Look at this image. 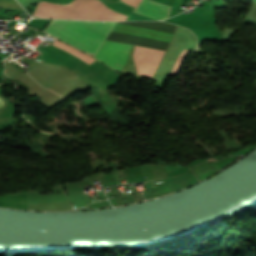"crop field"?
Here are the masks:
<instances>
[{
  "label": "crop field",
  "mask_w": 256,
  "mask_h": 256,
  "mask_svg": "<svg viewBox=\"0 0 256 256\" xmlns=\"http://www.w3.org/2000/svg\"><path fill=\"white\" fill-rule=\"evenodd\" d=\"M115 24L116 22L52 20L45 32L95 55Z\"/></svg>",
  "instance_id": "8a807250"
},
{
  "label": "crop field",
  "mask_w": 256,
  "mask_h": 256,
  "mask_svg": "<svg viewBox=\"0 0 256 256\" xmlns=\"http://www.w3.org/2000/svg\"><path fill=\"white\" fill-rule=\"evenodd\" d=\"M113 31L168 42H171L173 38V34L171 33L159 32L119 24H116ZM131 46L132 45L130 44L106 40L94 58L104 62L105 64L120 72V70L123 68L127 60Z\"/></svg>",
  "instance_id": "ac0d7876"
},
{
  "label": "crop field",
  "mask_w": 256,
  "mask_h": 256,
  "mask_svg": "<svg viewBox=\"0 0 256 256\" xmlns=\"http://www.w3.org/2000/svg\"><path fill=\"white\" fill-rule=\"evenodd\" d=\"M171 6L159 4L150 0H141L134 12H138L155 19H167Z\"/></svg>",
  "instance_id": "34b2d1b8"
},
{
  "label": "crop field",
  "mask_w": 256,
  "mask_h": 256,
  "mask_svg": "<svg viewBox=\"0 0 256 256\" xmlns=\"http://www.w3.org/2000/svg\"><path fill=\"white\" fill-rule=\"evenodd\" d=\"M190 53V51L184 49L183 52L179 55L173 69H172V72L170 74V76H176L179 72V69L185 59V57Z\"/></svg>",
  "instance_id": "412701ff"
},
{
  "label": "crop field",
  "mask_w": 256,
  "mask_h": 256,
  "mask_svg": "<svg viewBox=\"0 0 256 256\" xmlns=\"http://www.w3.org/2000/svg\"><path fill=\"white\" fill-rule=\"evenodd\" d=\"M246 18H247V16H246ZM246 18H245V20H246ZM245 20H244V24H245ZM252 22H256V21L248 17V19L246 20V24L252 23Z\"/></svg>",
  "instance_id": "f4fd0767"
},
{
  "label": "crop field",
  "mask_w": 256,
  "mask_h": 256,
  "mask_svg": "<svg viewBox=\"0 0 256 256\" xmlns=\"http://www.w3.org/2000/svg\"><path fill=\"white\" fill-rule=\"evenodd\" d=\"M4 101L0 98V107L3 106Z\"/></svg>",
  "instance_id": "dd49c442"
},
{
  "label": "crop field",
  "mask_w": 256,
  "mask_h": 256,
  "mask_svg": "<svg viewBox=\"0 0 256 256\" xmlns=\"http://www.w3.org/2000/svg\"><path fill=\"white\" fill-rule=\"evenodd\" d=\"M153 182H157V183H158V182H160V181H159V180H156V181H150V182H148V183H153Z\"/></svg>",
  "instance_id": "e52e79f7"
},
{
  "label": "crop field",
  "mask_w": 256,
  "mask_h": 256,
  "mask_svg": "<svg viewBox=\"0 0 256 256\" xmlns=\"http://www.w3.org/2000/svg\"><path fill=\"white\" fill-rule=\"evenodd\" d=\"M33 17H43V16H39V15H35V14H34Z\"/></svg>",
  "instance_id": "d8731c3e"
},
{
  "label": "crop field",
  "mask_w": 256,
  "mask_h": 256,
  "mask_svg": "<svg viewBox=\"0 0 256 256\" xmlns=\"http://www.w3.org/2000/svg\"><path fill=\"white\" fill-rule=\"evenodd\" d=\"M52 91V90H51ZM54 92V91H53Z\"/></svg>",
  "instance_id": "5a996713"
}]
</instances>
